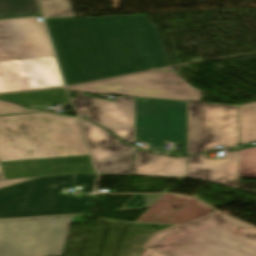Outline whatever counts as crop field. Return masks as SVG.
<instances>
[{"label": "crop field", "mask_w": 256, "mask_h": 256, "mask_svg": "<svg viewBox=\"0 0 256 256\" xmlns=\"http://www.w3.org/2000/svg\"><path fill=\"white\" fill-rule=\"evenodd\" d=\"M47 22L67 85L169 65L146 15Z\"/></svg>", "instance_id": "1"}, {"label": "crop field", "mask_w": 256, "mask_h": 256, "mask_svg": "<svg viewBox=\"0 0 256 256\" xmlns=\"http://www.w3.org/2000/svg\"><path fill=\"white\" fill-rule=\"evenodd\" d=\"M77 117L32 113L0 117L6 179L93 173Z\"/></svg>", "instance_id": "2"}, {"label": "crop field", "mask_w": 256, "mask_h": 256, "mask_svg": "<svg viewBox=\"0 0 256 256\" xmlns=\"http://www.w3.org/2000/svg\"><path fill=\"white\" fill-rule=\"evenodd\" d=\"M148 247L169 256H256V228L216 213L161 232Z\"/></svg>", "instance_id": "3"}, {"label": "crop field", "mask_w": 256, "mask_h": 256, "mask_svg": "<svg viewBox=\"0 0 256 256\" xmlns=\"http://www.w3.org/2000/svg\"><path fill=\"white\" fill-rule=\"evenodd\" d=\"M97 175L76 174L41 177L0 190V219L89 213L93 195L80 198L60 194L63 187L84 185L82 193L93 191Z\"/></svg>", "instance_id": "4"}, {"label": "crop field", "mask_w": 256, "mask_h": 256, "mask_svg": "<svg viewBox=\"0 0 256 256\" xmlns=\"http://www.w3.org/2000/svg\"><path fill=\"white\" fill-rule=\"evenodd\" d=\"M58 216L0 221V256H61L71 221Z\"/></svg>", "instance_id": "5"}, {"label": "crop field", "mask_w": 256, "mask_h": 256, "mask_svg": "<svg viewBox=\"0 0 256 256\" xmlns=\"http://www.w3.org/2000/svg\"><path fill=\"white\" fill-rule=\"evenodd\" d=\"M188 102L135 98V142L162 152L165 143L187 154Z\"/></svg>", "instance_id": "6"}, {"label": "crop field", "mask_w": 256, "mask_h": 256, "mask_svg": "<svg viewBox=\"0 0 256 256\" xmlns=\"http://www.w3.org/2000/svg\"><path fill=\"white\" fill-rule=\"evenodd\" d=\"M68 91L126 95L182 101H201V91L192 88L174 72L153 71L67 88Z\"/></svg>", "instance_id": "7"}, {"label": "crop field", "mask_w": 256, "mask_h": 256, "mask_svg": "<svg viewBox=\"0 0 256 256\" xmlns=\"http://www.w3.org/2000/svg\"><path fill=\"white\" fill-rule=\"evenodd\" d=\"M238 146V106L189 102L188 154Z\"/></svg>", "instance_id": "8"}, {"label": "crop field", "mask_w": 256, "mask_h": 256, "mask_svg": "<svg viewBox=\"0 0 256 256\" xmlns=\"http://www.w3.org/2000/svg\"><path fill=\"white\" fill-rule=\"evenodd\" d=\"M54 55L43 22L36 17L0 21V61Z\"/></svg>", "instance_id": "9"}, {"label": "crop field", "mask_w": 256, "mask_h": 256, "mask_svg": "<svg viewBox=\"0 0 256 256\" xmlns=\"http://www.w3.org/2000/svg\"><path fill=\"white\" fill-rule=\"evenodd\" d=\"M64 86L54 56L0 62V93Z\"/></svg>", "instance_id": "10"}, {"label": "crop field", "mask_w": 256, "mask_h": 256, "mask_svg": "<svg viewBox=\"0 0 256 256\" xmlns=\"http://www.w3.org/2000/svg\"><path fill=\"white\" fill-rule=\"evenodd\" d=\"M81 122L99 174L132 175V153L135 147L119 141L83 118Z\"/></svg>", "instance_id": "11"}, {"label": "crop field", "mask_w": 256, "mask_h": 256, "mask_svg": "<svg viewBox=\"0 0 256 256\" xmlns=\"http://www.w3.org/2000/svg\"><path fill=\"white\" fill-rule=\"evenodd\" d=\"M71 100L80 114L134 143V98L117 96L115 101H111L76 94Z\"/></svg>", "instance_id": "12"}, {"label": "crop field", "mask_w": 256, "mask_h": 256, "mask_svg": "<svg viewBox=\"0 0 256 256\" xmlns=\"http://www.w3.org/2000/svg\"><path fill=\"white\" fill-rule=\"evenodd\" d=\"M237 152L223 159H206V154L188 157V178H199L238 189Z\"/></svg>", "instance_id": "13"}, {"label": "crop field", "mask_w": 256, "mask_h": 256, "mask_svg": "<svg viewBox=\"0 0 256 256\" xmlns=\"http://www.w3.org/2000/svg\"><path fill=\"white\" fill-rule=\"evenodd\" d=\"M135 175L187 178V157L170 158L137 150Z\"/></svg>", "instance_id": "14"}, {"label": "crop field", "mask_w": 256, "mask_h": 256, "mask_svg": "<svg viewBox=\"0 0 256 256\" xmlns=\"http://www.w3.org/2000/svg\"><path fill=\"white\" fill-rule=\"evenodd\" d=\"M256 141V103L239 105V143Z\"/></svg>", "instance_id": "15"}, {"label": "crop field", "mask_w": 256, "mask_h": 256, "mask_svg": "<svg viewBox=\"0 0 256 256\" xmlns=\"http://www.w3.org/2000/svg\"><path fill=\"white\" fill-rule=\"evenodd\" d=\"M41 14L37 0H0V18Z\"/></svg>", "instance_id": "16"}, {"label": "crop field", "mask_w": 256, "mask_h": 256, "mask_svg": "<svg viewBox=\"0 0 256 256\" xmlns=\"http://www.w3.org/2000/svg\"><path fill=\"white\" fill-rule=\"evenodd\" d=\"M239 177L256 178V148L239 151Z\"/></svg>", "instance_id": "17"}, {"label": "crop field", "mask_w": 256, "mask_h": 256, "mask_svg": "<svg viewBox=\"0 0 256 256\" xmlns=\"http://www.w3.org/2000/svg\"><path fill=\"white\" fill-rule=\"evenodd\" d=\"M46 17L74 16L69 0H41Z\"/></svg>", "instance_id": "18"}, {"label": "crop field", "mask_w": 256, "mask_h": 256, "mask_svg": "<svg viewBox=\"0 0 256 256\" xmlns=\"http://www.w3.org/2000/svg\"><path fill=\"white\" fill-rule=\"evenodd\" d=\"M164 194L137 195L121 210L148 208L153 205Z\"/></svg>", "instance_id": "19"}, {"label": "crop field", "mask_w": 256, "mask_h": 256, "mask_svg": "<svg viewBox=\"0 0 256 256\" xmlns=\"http://www.w3.org/2000/svg\"><path fill=\"white\" fill-rule=\"evenodd\" d=\"M26 111H39V110H29L21 106L11 104L9 102L0 101V114L2 113H14V112H26Z\"/></svg>", "instance_id": "20"}, {"label": "crop field", "mask_w": 256, "mask_h": 256, "mask_svg": "<svg viewBox=\"0 0 256 256\" xmlns=\"http://www.w3.org/2000/svg\"><path fill=\"white\" fill-rule=\"evenodd\" d=\"M28 179H32V178H28ZM28 179L0 180V188L6 187V186H9V185L18 183V182H22V181H25V180H28Z\"/></svg>", "instance_id": "21"}, {"label": "crop field", "mask_w": 256, "mask_h": 256, "mask_svg": "<svg viewBox=\"0 0 256 256\" xmlns=\"http://www.w3.org/2000/svg\"><path fill=\"white\" fill-rule=\"evenodd\" d=\"M141 256H166V255L146 247V249L144 250Z\"/></svg>", "instance_id": "22"}, {"label": "crop field", "mask_w": 256, "mask_h": 256, "mask_svg": "<svg viewBox=\"0 0 256 256\" xmlns=\"http://www.w3.org/2000/svg\"><path fill=\"white\" fill-rule=\"evenodd\" d=\"M0 179H5L1 166H0Z\"/></svg>", "instance_id": "23"}]
</instances>
